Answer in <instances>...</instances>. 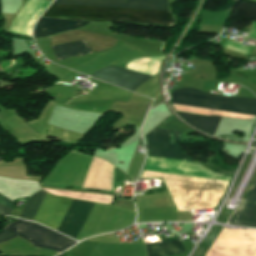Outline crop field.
<instances>
[{
	"mask_svg": "<svg viewBox=\"0 0 256 256\" xmlns=\"http://www.w3.org/2000/svg\"><path fill=\"white\" fill-rule=\"evenodd\" d=\"M46 193L41 189L38 193L30 196L26 205L24 204L20 217L32 221Z\"/></svg>",
	"mask_w": 256,
	"mask_h": 256,
	"instance_id": "crop-field-12",
	"label": "crop field"
},
{
	"mask_svg": "<svg viewBox=\"0 0 256 256\" xmlns=\"http://www.w3.org/2000/svg\"><path fill=\"white\" fill-rule=\"evenodd\" d=\"M168 0H56L53 4L169 12ZM51 5L42 16L172 25L170 13Z\"/></svg>",
	"mask_w": 256,
	"mask_h": 256,
	"instance_id": "crop-field-1",
	"label": "crop field"
},
{
	"mask_svg": "<svg viewBox=\"0 0 256 256\" xmlns=\"http://www.w3.org/2000/svg\"><path fill=\"white\" fill-rule=\"evenodd\" d=\"M71 201L72 199L70 198L54 196L48 193L38 210L34 221L56 230ZM93 205V202L73 199L70 207L59 224L57 231L76 238L87 220Z\"/></svg>",
	"mask_w": 256,
	"mask_h": 256,
	"instance_id": "crop-field-2",
	"label": "crop field"
},
{
	"mask_svg": "<svg viewBox=\"0 0 256 256\" xmlns=\"http://www.w3.org/2000/svg\"><path fill=\"white\" fill-rule=\"evenodd\" d=\"M177 113L193 126L211 135L214 134L222 118V117H216V116L203 117V116H197V115L180 113V112H177Z\"/></svg>",
	"mask_w": 256,
	"mask_h": 256,
	"instance_id": "crop-field-11",
	"label": "crop field"
},
{
	"mask_svg": "<svg viewBox=\"0 0 256 256\" xmlns=\"http://www.w3.org/2000/svg\"><path fill=\"white\" fill-rule=\"evenodd\" d=\"M91 76L132 91L144 81L151 78V76L124 70L114 66L104 67Z\"/></svg>",
	"mask_w": 256,
	"mask_h": 256,
	"instance_id": "crop-field-6",
	"label": "crop field"
},
{
	"mask_svg": "<svg viewBox=\"0 0 256 256\" xmlns=\"http://www.w3.org/2000/svg\"><path fill=\"white\" fill-rule=\"evenodd\" d=\"M172 102L256 116V100L212 95L193 88L172 92Z\"/></svg>",
	"mask_w": 256,
	"mask_h": 256,
	"instance_id": "crop-field-3",
	"label": "crop field"
},
{
	"mask_svg": "<svg viewBox=\"0 0 256 256\" xmlns=\"http://www.w3.org/2000/svg\"><path fill=\"white\" fill-rule=\"evenodd\" d=\"M87 23L88 22L84 21L40 18L35 26L34 38L44 37L62 31L74 29Z\"/></svg>",
	"mask_w": 256,
	"mask_h": 256,
	"instance_id": "crop-field-7",
	"label": "crop field"
},
{
	"mask_svg": "<svg viewBox=\"0 0 256 256\" xmlns=\"http://www.w3.org/2000/svg\"><path fill=\"white\" fill-rule=\"evenodd\" d=\"M52 48L59 60L71 56H82L92 52L85 40L54 46Z\"/></svg>",
	"mask_w": 256,
	"mask_h": 256,
	"instance_id": "crop-field-10",
	"label": "crop field"
},
{
	"mask_svg": "<svg viewBox=\"0 0 256 256\" xmlns=\"http://www.w3.org/2000/svg\"><path fill=\"white\" fill-rule=\"evenodd\" d=\"M148 256H171L183 254V244L178 240L146 244Z\"/></svg>",
	"mask_w": 256,
	"mask_h": 256,
	"instance_id": "crop-field-9",
	"label": "crop field"
},
{
	"mask_svg": "<svg viewBox=\"0 0 256 256\" xmlns=\"http://www.w3.org/2000/svg\"><path fill=\"white\" fill-rule=\"evenodd\" d=\"M17 236L30 240L36 248H48L58 252L75 243L73 240L36 223L21 220L6 225L0 231V242Z\"/></svg>",
	"mask_w": 256,
	"mask_h": 256,
	"instance_id": "crop-field-4",
	"label": "crop field"
},
{
	"mask_svg": "<svg viewBox=\"0 0 256 256\" xmlns=\"http://www.w3.org/2000/svg\"><path fill=\"white\" fill-rule=\"evenodd\" d=\"M229 223L256 228V180L243 207L234 213Z\"/></svg>",
	"mask_w": 256,
	"mask_h": 256,
	"instance_id": "crop-field-8",
	"label": "crop field"
},
{
	"mask_svg": "<svg viewBox=\"0 0 256 256\" xmlns=\"http://www.w3.org/2000/svg\"><path fill=\"white\" fill-rule=\"evenodd\" d=\"M0 203L10 207V208H13V202H11V200L7 199L6 197H4L3 195L0 194ZM0 204V213L1 214H6V215H10L11 214V211L12 209L4 206Z\"/></svg>",
	"mask_w": 256,
	"mask_h": 256,
	"instance_id": "crop-field-13",
	"label": "crop field"
},
{
	"mask_svg": "<svg viewBox=\"0 0 256 256\" xmlns=\"http://www.w3.org/2000/svg\"><path fill=\"white\" fill-rule=\"evenodd\" d=\"M3 158L2 157H0V161L2 160Z\"/></svg>",
	"mask_w": 256,
	"mask_h": 256,
	"instance_id": "crop-field-14",
	"label": "crop field"
},
{
	"mask_svg": "<svg viewBox=\"0 0 256 256\" xmlns=\"http://www.w3.org/2000/svg\"><path fill=\"white\" fill-rule=\"evenodd\" d=\"M181 132L178 130L155 128L146 137L148 156L193 161L177 145Z\"/></svg>",
	"mask_w": 256,
	"mask_h": 256,
	"instance_id": "crop-field-5",
	"label": "crop field"
}]
</instances>
